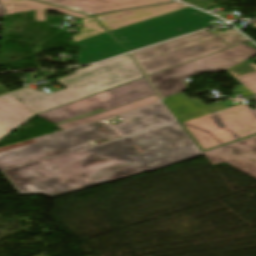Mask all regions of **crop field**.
Segmentation results:
<instances>
[{
    "label": "crop field",
    "mask_w": 256,
    "mask_h": 256,
    "mask_svg": "<svg viewBox=\"0 0 256 256\" xmlns=\"http://www.w3.org/2000/svg\"><path fill=\"white\" fill-rule=\"evenodd\" d=\"M80 48L77 63H92L126 51L108 34L75 42Z\"/></svg>",
    "instance_id": "crop-field-13"
},
{
    "label": "crop field",
    "mask_w": 256,
    "mask_h": 256,
    "mask_svg": "<svg viewBox=\"0 0 256 256\" xmlns=\"http://www.w3.org/2000/svg\"><path fill=\"white\" fill-rule=\"evenodd\" d=\"M213 165L227 163L256 178V136L205 152Z\"/></svg>",
    "instance_id": "crop-field-9"
},
{
    "label": "crop field",
    "mask_w": 256,
    "mask_h": 256,
    "mask_svg": "<svg viewBox=\"0 0 256 256\" xmlns=\"http://www.w3.org/2000/svg\"><path fill=\"white\" fill-rule=\"evenodd\" d=\"M213 19L216 18L187 7L110 33L130 51L209 27L211 24L207 21Z\"/></svg>",
    "instance_id": "crop-field-5"
},
{
    "label": "crop field",
    "mask_w": 256,
    "mask_h": 256,
    "mask_svg": "<svg viewBox=\"0 0 256 256\" xmlns=\"http://www.w3.org/2000/svg\"><path fill=\"white\" fill-rule=\"evenodd\" d=\"M187 7L179 2L95 16L108 31Z\"/></svg>",
    "instance_id": "crop-field-11"
},
{
    "label": "crop field",
    "mask_w": 256,
    "mask_h": 256,
    "mask_svg": "<svg viewBox=\"0 0 256 256\" xmlns=\"http://www.w3.org/2000/svg\"><path fill=\"white\" fill-rule=\"evenodd\" d=\"M256 50L240 44L236 47L149 75L161 97L185 90L183 78L202 71H225L253 56Z\"/></svg>",
    "instance_id": "crop-field-7"
},
{
    "label": "crop field",
    "mask_w": 256,
    "mask_h": 256,
    "mask_svg": "<svg viewBox=\"0 0 256 256\" xmlns=\"http://www.w3.org/2000/svg\"><path fill=\"white\" fill-rule=\"evenodd\" d=\"M122 123L114 125L125 136L175 121L162 102L120 115Z\"/></svg>",
    "instance_id": "crop-field-10"
},
{
    "label": "crop field",
    "mask_w": 256,
    "mask_h": 256,
    "mask_svg": "<svg viewBox=\"0 0 256 256\" xmlns=\"http://www.w3.org/2000/svg\"><path fill=\"white\" fill-rule=\"evenodd\" d=\"M156 101H159V98L157 97V95L147 97L142 100H139V101L133 102L131 104H128V105H125V106H122L119 108H115V109H112V110H109L106 112H104V110H102V109H99V110H96V111L63 121V122H60L55 125H57L59 128L64 130V129H68V128L82 125L85 123H89V122H92L95 120H99V119H102L105 117H109V116H112L115 114H119V113H122L125 111H129V110H132V109H135V108H138V107H141V106H144V105L156 102Z\"/></svg>",
    "instance_id": "crop-field-15"
},
{
    "label": "crop field",
    "mask_w": 256,
    "mask_h": 256,
    "mask_svg": "<svg viewBox=\"0 0 256 256\" xmlns=\"http://www.w3.org/2000/svg\"><path fill=\"white\" fill-rule=\"evenodd\" d=\"M226 73L241 84V86L233 89L234 93L239 92L246 98L250 94H256V65L251 61L248 60L226 71Z\"/></svg>",
    "instance_id": "crop-field-16"
},
{
    "label": "crop field",
    "mask_w": 256,
    "mask_h": 256,
    "mask_svg": "<svg viewBox=\"0 0 256 256\" xmlns=\"http://www.w3.org/2000/svg\"><path fill=\"white\" fill-rule=\"evenodd\" d=\"M217 35L223 38L224 40L228 41L234 46L240 43L248 42L246 38H244L240 33H238L234 29L217 33Z\"/></svg>",
    "instance_id": "crop-field-18"
},
{
    "label": "crop field",
    "mask_w": 256,
    "mask_h": 256,
    "mask_svg": "<svg viewBox=\"0 0 256 256\" xmlns=\"http://www.w3.org/2000/svg\"><path fill=\"white\" fill-rule=\"evenodd\" d=\"M120 135L111 125L99 120L61 132L35 138L37 143L0 153V170L87 146L89 140Z\"/></svg>",
    "instance_id": "crop-field-4"
},
{
    "label": "crop field",
    "mask_w": 256,
    "mask_h": 256,
    "mask_svg": "<svg viewBox=\"0 0 256 256\" xmlns=\"http://www.w3.org/2000/svg\"><path fill=\"white\" fill-rule=\"evenodd\" d=\"M202 155L177 121L3 171L20 194L50 198Z\"/></svg>",
    "instance_id": "crop-field-1"
},
{
    "label": "crop field",
    "mask_w": 256,
    "mask_h": 256,
    "mask_svg": "<svg viewBox=\"0 0 256 256\" xmlns=\"http://www.w3.org/2000/svg\"><path fill=\"white\" fill-rule=\"evenodd\" d=\"M89 15L133 8L138 6L171 2L173 0H37Z\"/></svg>",
    "instance_id": "crop-field-12"
},
{
    "label": "crop field",
    "mask_w": 256,
    "mask_h": 256,
    "mask_svg": "<svg viewBox=\"0 0 256 256\" xmlns=\"http://www.w3.org/2000/svg\"><path fill=\"white\" fill-rule=\"evenodd\" d=\"M82 21L83 27L80 30V34L73 36V42L106 33L93 17H88Z\"/></svg>",
    "instance_id": "crop-field-17"
},
{
    "label": "crop field",
    "mask_w": 256,
    "mask_h": 256,
    "mask_svg": "<svg viewBox=\"0 0 256 256\" xmlns=\"http://www.w3.org/2000/svg\"><path fill=\"white\" fill-rule=\"evenodd\" d=\"M233 47L204 30L133 52L147 75Z\"/></svg>",
    "instance_id": "crop-field-6"
},
{
    "label": "crop field",
    "mask_w": 256,
    "mask_h": 256,
    "mask_svg": "<svg viewBox=\"0 0 256 256\" xmlns=\"http://www.w3.org/2000/svg\"><path fill=\"white\" fill-rule=\"evenodd\" d=\"M143 78L129 54L58 79L67 88L46 95L24 89L0 97V140L34 114Z\"/></svg>",
    "instance_id": "crop-field-2"
},
{
    "label": "crop field",
    "mask_w": 256,
    "mask_h": 256,
    "mask_svg": "<svg viewBox=\"0 0 256 256\" xmlns=\"http://www.w3.org/2000/svg\"><path fill=\"white\" fill-rule=\"evenodd\" d=\"M163 101L202 151L256 135V109L243 103L230 108L220 102L207 106L182 94Z\"/></svg>",
    "instance_id": "crop-field-3"
},
{
    "label": "crop field",
    "mask_w": 256,
    "mask_h": 256,
    "mask_svg": "<svg viewBox=\"0 0 256 256\" xmlns=\"http://www.w3.org/2000/svg\"><path fill=\"white\" fill-rule=\"evenodd\" d=\"M154 94L155 92L145 78H143L38 114L37 116L55 124L99 108L106 111Z\"/></svg>",
    "instance_id": "crop-field-8"
},
{
    "label": "crop field",
    "mask_w": 256,
    "mask_h": 256,
    "mask_svg": "<svg viewBox=\"0 0 256 256\" xmlns=\"http://www.w3.org/2000/svg\"><path fill=\"white\" fill-rule=\"evenodd\" d=\"M0 2L6 10V15L35 10V21H45L46 9L54 10L79 18L88 16L33 0H0Z\"/></svg>",
    "instance_id": "crop-field-14"
},
{
    "label": "crop field",
    "mask_w": 256,
    "mask_h": 256,
    "mask_svg": "<svg viewBox=\"0 0 256 256\" xmlns=\"http://www.w3.org/2000/svg\"><path fill=\"white\" fill-rule=\"evenodd\" d=\"M4 14H5V11H4L3 7H2L1 4H0V16H2V15H4Z\"/></svg>",
    "instance_id": "crop-field-19"
}]
</instances>
